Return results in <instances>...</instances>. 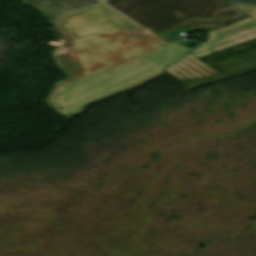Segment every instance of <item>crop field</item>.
Instances as JSON below:
<instances>
[{
    "label": "crop field",
    "instance_id": "obj_5",
    "mask_svg": "<svg viewBox=\"0 0 256 256\" xmlns=\"http://www.w3.org/2000/svg\"><path fill=\"white\" fill-rule=\"evenodd\" d=\"M52 20L101 4L97 0H24Z\"/></svg>",
    "mask_w": 256,
    "mask_h": 256
},
{
    "label": "crop field",
    "instance_id": "obj_1",
    "mask_svg": "<svg viewBox=\"0 0 256 256\" xmlns=\"http://www.w3.org/2000/svg\"><path fill=\"white\" fill-rule=\"evenodd\" d=\"M53 24L64 41L58 54L63 66L73 75L56 88L47 103L62 114L71 107L69 82L164 47L160 41L103 4ZM65 52L80 70H70L63 58ZM55 95L62 98L56 102Z\"/></svg>",
    "mask_w": 256,
    "mask_h": 256
},
{
    "label": "crop field",
    "instance_id": "obj_8",
    "mask_svg": "<svg viewBox=\"0 0 256 256\" xmlns=\"http://www.w3.org/2000/svg\"><path fill=\"white\" fill-rule=\"evenodd\" d=\"M170 74L174 75L178 79H190V78H200V77H211L213 73L217 72L215 70H204L201 67L184 65L175 69L168 71Z\"/></svg>",
    "mask_w": 256,
    "mask_h": 256
},
{
    "label": "crop field",
    "instance_id": "obj_15",
    "mask_svg": "<svg viewBox=\"0 0 256 256\" xmlns=\"http://www.w3.org/2000/svg\"><path fill=\"white\" fill-rule=\"evenodd\" d=\"M219 76H222V75L219 74V75H217V76H214V77H212V78H210V79H207V80H205V81H202V82H200V83H203V82H206V81H208V80L217 78V77H219ZM200 83H196V82L191 81V82L187 83V85H189L190 87H192V86H195V85L200 84Z\"/></svg>",
    "mask_w": 256,
    "mask_h": 256
},
{
    "label": "crop field",
    "instance_id": "obj_6",
    "mask_svg": "<svg viewBox=\"0 0 256 256\" xmlns=\"http://www.w3.org/2000/svg\"><path fill=\"white\" fill-rule=\"evenodd\" d=\"M190 50L176 44L172 43L166 47L159 49L157 51L151 52L149 54L141 56L143 59L148 61L153 66L163 69L165 66L180 60L184 55H186Z\"/></svg>",
    "mask_w": 256,
    "mask_h": 256
},
{
    "label": "crop field",
    "instance_id": "obj_4",
    "mask_svg": "<svg viewBox=\"0 0 256 256\" xmlns=\"http://www.w3.org/2000/svg\"><path fill=\"white\" fill-rule=\"evenodd\" d=\"M256 37V21L248 17L211 34L209 43L201 45L193 54L199 58Z\"/></svg>",
    "mask_w": 256,
    "mask_h": 256
},
{
    "label": "crop field",
    "instance_id": "obj_3",
    "mask_svg": "<svg viewBox=\"0 0 256 256\" xmlns=\"http://www.w3.org/2000/svg\"><path fill=\"white\" fill-rule=\"evenodd\" d=\"M157 71L159 70L154 68L122 83L102 71L92 76L71 82L69 98L72 102V107L65 113V116L70 118L83 103L130 86Z\"/></svg>",
    "mask_w": 256,
    "mask_h": 256
},
{
    "label": "crop field",
    "instance_id": "obj_14",
    "mask_svg": "<svg viewBox=\"0 0 256 256\" xmlns=\"http://www.w3.org/2000/svg\"><path fill=\"white\" fill-rule=\"evenodd\" d=\"M234 3L247 4L256 6V0H228Z\"/></svg>",
    "mask_w": 256,
    "mask_h": 256
},
{
    "label": "crop field",
    "instance_id": "obj_12",
    "mask_svg": "<svg viewBox=\"0 0 256 256\" xmlns=\"http://www.w3.org/2000/svg\"><path fill=\"white\" fill-rule=\"evenodd\" d=\"M232 7V6H231ZM230 8V7H229ZM227 9V8H226ZM225 10V9H224ZM222 11V10H221ZM220 12V11H219ZM218 13V12H215L211 18L207 19V20H204V21H201L199 23H196V24H193L191 26H188V27H185L183 29H208L215 14Z\"/></svg>",
    "mask_w": 256,
    "mask_h": 256
},
{
    "label": "crop field",
    "instance_id": "obj_17",
    "mask_svg": "<svg viewBox=\"0 0 256 256\" xmlns=\"http://www.w3.org/2000/svg\"><path fill=\"white\" fill-rule=\"evenodd\" d=\"M103 1H105V2H106V1H109V0H103Z\"/></svg>",
    "mask_w": 256,
    "mask_h": 256
},
{
    "label": "crop field",
    "instance_id": "obj_2",
    "mask_svg": "<svg viewBox=\"0 0 256 256\" xmlns=\"http://www.w3.org/2000/svg\"><path fill=\"white\" fill-rule=\"evenodd\" d=\"M107 4L165 42L172 40L164 34L207 19L213 12L231 6L224 0H112Z\"/></svg>",
    "mask_w": 256,
    "mask_h": 256
},
{
    "label": "crop field",
    "instance_id": "obj_9",
    "mask_svg": "<svg viewBox=\"0 0 256 256\" xmlns=\"http://www.w3.org/2000/svg\"><path fill=\"white\" fill-rule=\"evenodd\" d=\"M243 15H245L243 12H241L240 10H238L235 7H232L230 9H227L225 11L218 13L210 28L224 25V24L229 23Z\"/></svg>",
    "mask_w": 256,
    "mask_h": 256
},
{
    "label": "crop field",
    "instance_id": "obj_11",
    "mask_svg": "<svg viewBox=\"0 0 256 256\" xmlns=\"http://www.w3.org/2000/svg\"><path fill=\"white\" fill-rule=\"evenodd\" d=\"M162 71H163V70H161L160 72H158V73H156V74H154V75H152V76H150V77H148V78H146V79H144V80H142V81H140V82H138V83H136V84H134V85H132V86H130V87L124 88V89H122V90L113 92V93L108 94V95H106V96H104V97H101V98H99V99H96V100H93V101H91V102L85 103V104H83V105L78 109V111H77L75 114H80L81 111L84 109V107H85L86 105H89V104H91V103H93V102H95V101H98V100H100V99L106 98V97L111 96V95H113V94L119 93V92L124 91V90H126V89H129V88H131V87L137 86V85H139V84H142V83H144V82H146V81H148V80H150V79H152V78H154V77L160 75V74L162 73Z\"/></svg>",
    "mask_w": 256,
    "mask_h": 256
},
{
    "label": "crop field",
    "instance_id": "obj_10",
    "mask_svg": "<svg viewBox=\"0 0 256 256\" xmlns=\"http://www.w3.org/2000/svg\"><path fill=\"white\" fill-rule=\"evenodd\" d=\"M184 64H189V65H197V66H201L204 69H212L211 67H209L208 65L204 64L203 62H201L200 60H198L197 58L191 56L190 54L186 55L182 60H180L178 63L168 67L165 69V71L171 69V68H175Z\"/></svg>",
    "mask_w": 256,
    "mask_h": 256
},
{
    "label": "crop field",
    "instance_id": "obj_7",
    "mask_svg": "<svg viewBox=\"0 0 256 256\" xmlns=\"http://www.w3.org/2000/svg\"><path fill=\"white\" fill-rule=\"evenodd\" d=\"M152 68V65L138 57L103 71L121 82Z\"/></svg>",
    "mask_w": 256,
    "mask_h": 256
},
{
    "label": "crop field",
    "instance_id": "obj_13",
    "mask_svg": "<svg viewBox=\"0 0 256 256\" xmlns=\"http://www.w3.org/2000/svg\"><path fill=\"white\" fill-rule=\"evenodd\" d=\"M232 4L238 7L239 9H241L243 12H245L248 15L256 11V7L254 6L240 5V4H234V3Z\"/></svg>",
    "mask_w": 256,
    "mask_h": 256
},
{
    "label": "crop field",
    "instance_id": "obj_16",
    "mask_svg": "<svg viewBox=\"0 0 256 256\" xmlns=\"http://www.w3.org/2000/svg\"><path fill=\"white\" fill-rule=\"evenodd\" d=\"M253 19H255L256 20V14L255 15H253V16H251Z\"/></svg>",
    "mask_w": 256,
    "mask_h": 256
}]
</instances>
